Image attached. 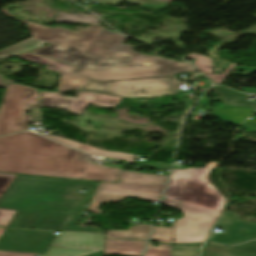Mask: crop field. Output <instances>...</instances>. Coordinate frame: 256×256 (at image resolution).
<instances>
[{"mask_svg": "<svg viewBox=\"0 0 256 256\" xmlns=\"http://www.w3.org/2000/svg\"><path fill=\"white\" fill-rule=\"evenodd\" d=\"M32 38L0 50V59L43 46L30 53L78 66L74 73L97 81L122 80L175 75L196 70L186 62L137 53L123 44L126 37L91 25L73 31L61 27L46 28L29 22ZM174 71L175 73H170Z\"/></svg>", "mask_w": 256, "mask_h": 256, "instance_id": "crop-field-1", "label": "crop field"}, {"mask_svg": "<svg viewBox=\"0 0 256 256\" xmlns=\"http://www.w3.org/2000/svg\"><path fill=\"white\" fill-rule=\"evenodd\" d=\"M84 153L30 132L0 138V172L115 182L121 169L93 164Z\"/></svg>", "mask_w": 256, "mask_h": 256, "instance_id": "crop-field-2", "label": "crop field"}, {"mask_svg": "<svg viewBox=\"0 0 256 256\" xmlns=\"http://www.w3.org/2000/svg\"><path fill=\"white\" fill-rule=\"evenodd\" d=\"M95 183L19 175L0 201L2 208L84 214ZM78 189L89 190L86 194Z\"/></svg>", "mask_w": 256, "mask_h": 256, "instance_id": "crop-field-3", "label": "crop field"}, {"mask_svg": "<svg viewBox=\"0 0 256 256\" xmlns=\"http://www.w3.org/2000/svg\"><path fill=\"white\" fill-rule=\"evenodd\" d=\"M211 170L186 169L179 205L184 217L177 220L173 243L204 242L214 220L222 212L226 197L208 180Z\"/></svg>", "mask_w": 256, "mask_h": 256, "instance_id": "crop-field-4", "label": "crop field"}, {"mask_svg": "<svg viewBox=\"0 0 256 256\" xmlns=\"http://www.w3.org/2000/svg\"><path fill=\"white\" fill-rule=\"evenodd\" d=\"M168 176L122 171L117 183L100 182L93 195L89 210L99 215L101 203H119L127 196L159 202Z\"/></svg>", "mask_w": 256, "mask_h": 256, "instance_id": "crop-field-5", "label": "crop field"}, {"mask_svg": "<svg viewBox=\"0 0 256 256\" xmlns=\"http://www.w3.org/2000/svg\"><path fill=\"white\" fill-rule=\"evenodd\" d=\"M177 86L178 81L175 76L109 82H97L90 79L78 90H92L127 98H152L162 95L177 94ZM143 91L146 92L143 93Z\"/></svg>", "mask_w": 256, "mask_h": 256, "instance_id": "crop-field-6", "label": "crop field"}, {"mask_svg": "<svg viewBox=\"0 0 256 256\" xmlns=\"http://www.w3.org/2000/svg\"><path fill=\"white\" fill-rule=\"evenodd\" d=\"M37 104L36 89L9 84L0 105V135L29 129L31 116L25 113L29 105Z\"/></svg>", "mask_w": 256, "mask_h": 256, "instance_id": "crop-field-7", "label": "crop field"}, {"mask_svg": "<svg viewBox=\"0 0 256 256\" xmlns=\"http://www.w3.org/2000/svg\"><path fill=\"white\" fill-rule=\"evenodd\" d=\"M40 93L41 107H61L76 114H82L89 104L115 108L121 100L92 92H77L76 97H64L60 93Z\"/></svg>", "mask_w": 256, "mask_h": 256, "instance_id": "crop-field-8", "label": "crop field"}, {"mask_svg": "<svg viewBox=\"0 0 256 256\" xmlns=\"http://www.w3.org/2000/svg\"><path fill=\"white\" fill-rule=\"evenodd\" d=\"M55 238L52 232L8 229L0 242V250L46 253Z\"/></svg>", "mask_w": 256, "mask_h": 256, "instance_id": "crop-field-9", "label": "crop field"}, {"mask_svg": "<svg viewBox=\"0 0 256 256\" xmlns=\"http://www.w3.org/2000/svg\"><path fill=\"white\" fill-rule=\"evenodd\" d=\"M216 227L224 228L225 232L211 234L208 242L233 245L256 238V223L241 219L231 212L225 213Z\"/></svg>", "mask_w": 256, "mask_h": 256, "instance_id": "crop-field-10", "label": "crop field"}, {"mask_svg": "<svg viewBox=\"0 0 256 256\" xmlns=\"http://www.w3.org/2000/svg\"><path fill=\"white\" fill-rule=\"evenodd\" d=\"M68 215L69 214L64 213L20 210V213L17 215L11 226L21 228L60 230L64 225Z\"/></svg>", "mask_w": 256, "mask_h": 256, "instance_id": "crop-field-11", "label": "crop field"}, {"mask_svg": "<svg viewBox=\"0 0 256 256\" xmlns=\"http://www.w3.org/2000/svg\"><path fill=\"white\" fill-rule=\"evenodd\" d=\"M32 62L48 65L45 69L61 73L60 88L59 91L76 90L81 87L89 79L74 74L75 66L60 63L54 60H50L38 55L27 53L22 56H18Z\"/></svg>", "mask_w": 256, "mask_h": 256, "instance_id": "crop-field-12", "label": "crop field"}, {"mask_svg": "<svg viewBox=\"0 0 256 256\" xmlns=\"http://www.w3.org/2000/svg\"><path fill=\"white\" fill-rule=\"evenodd\" d=\"M146 241L105 240L104 256H140Z\"/></svg>", "mask_w": 256, "mask_h": 256, "instance_id": "crop-field-13", "label": "crop field"}, {"mask_svg": "<svg viewBox=\"0 0 256 256\" xmlns=\"http://www.w3.org/2000/svg\"><path fill=\"white\" fill-rule=\"evenodd\" d=\"M186 58L197 59L193 64L199 68L207 77H209L213 82L222 84L226 76L234 68L236 64L231 63L229 67L224 71L222 75L213 74V67L215 66L214 61L211 57L192 53Z\"/></svg>", "mask_w": 256, "mask_h": 256, "instance_id": "crop-field-14", "label": "crop field"}, {"mask_svg": "<svg viewBox=\"0 0 256 256\" xmlns=\"http://www.w3.org/2000/svg\"><path fill=\"white\" fill-rule=\"evenodd\" d=\"M185 169H174L167 186L163 204L178 209Z\"/></svg>", "mask_w": 256, "mask_h": 256, "instance_id": "crop-field-15", "label": "crop field"}, {"mask_svg": "<svg viewBox=\"0 0 256 256\" xmlns=\"http://www.w3.org/2000/svg\"><path fill=\"white\" fill-rule=\"evenodd\" d=\"M42 135H44L48 138H51L53 140L59 141L65 145L77 148V149L82 150L87 153H90L92 155L106 156V157H112V158H117V159H125V160H127V163H132L134 161L135 155H133V154L112 152V151H102V150H99V149H96V148H93V147H90L87 145L79 144L75 141L49 136L47 134H42Z\"/></svg>", "mask_w": 256, "mask_h": 256, "instance_id": "crop-field-16", "label": "crop field"}, {"mask_svg": "<svg viewBox=\"0 0 256 256\" xmlns=\"http://www.w3.org/2000/svg\"><path fill=\"white\" fill-rule=\"evenodd\" d=\"M252 113L253 112L246 109L225 106H221L213 112L214 116H216L218 119L236 126H238L246 117Z\"/></svg>", "mask_w": 256, "mask_h": 256, "instance_id": "crop-field-17", "label": "crop field"}, {"mask_svg": "<svg viewBox=\"0 0 256 256\" xmlns=\"http://www.w3.org/2000/svg\"><path fill=\"white\" fill-rule=\"evenodd\" d=\"M212 90L222 97V99L224 100V104L226 105L243 106L248 107L253 111L256 110V103L247 100L245 95L243 94H239L234 91L220 87L212 88Z\"/></svg>", "mask_w": 256, "mask_h": 256, "instance_id": "crop-field-18", "label": "crop field"}, {"mask_svg": "<svg viewBox=\"0 0 256 256\" xmlns=\"http://www.w3.org/2000/svg\"><path fill=\"white\" fill-rule=\"evenodd\" d=\"M150 225H139L135 227H129L125 230H110L105 231V238L113 239H146L148 236Z\"/></svg>", "mask_w": 256, "mask_h": 256, "instance_id": "crop-field-19", "label": "crop field"}, {"mask_svg": "<svg viewBox=\"0 0 256 256\" xmlns=\"http://www.w3.org/2000/svg\"><path fill=\"white\" fill-rule=\"evenodd\" d=\"M55 21L95 25L100 24V21L94 15L68 14L62 12L57 13Z\"/></svg>", "mask_w": 256, "mask_h": 256, "instance_id": "crop-field-20", "label": "crop field"}, {"mask_svg": "<svg viewBox=\"0 0 256 256\" xmlns=\"http://www.w3.org/2000/svg\"><path fill=\"white\" fill-rule=\"evenodd\" d=\"M202 256H255L234 248L205 245Z\"/></svg>", "mask_w": 256, "mask_h": 256, "instance_id": "crop-field-21", "label": "crop field"}, {"mask_svg": "<svg viewBox=\"0 0 256 256\" xmlns=\"http://www.w3.org/2000/svg\"><path fill=\"white\" fill-rule=\"evenodd\" d=\"M175 226L176 220H174L172 228L155 226L150 240L172 243Z\"/></svg>", "mask_w": 256, "mask_h": 256, "instance_id": "crop-field-22", "label": "crop field"}, {"mask_svg": "<svg viewBox=\"0 0 256 256\" xmlns=\"http://www.w3.org/2000/svg\"><path fill=\"white\" fill-rule=\"evenodd\" d=\"M201 245H173L171 256H198Z\"/></svg>", "mask_w": 256, "mask_h": 256, "instance_id": "crop-field-23", "label": "crop field"}, {"mask_svg": "<svg viewBox=\"0 0 256 256\" xmlns=\"http://www.w3.org/2000/svg\"><path fill=\"white\" fill-rule=\"evenodd\" d=\"M95 252H98V251L52 248V250L49 252L47 256H84V255L95 253Z\"/></svg>", "mask_w": 256, "mask_h": 256, "instance_id": "crop-field-24", "label": "crop field"}, {"mask_svg": "<svg viewBox=\"0 0 256 256\" xmlns=\"http://www.w3.org/2000/svg\"><path fill=\"white\" fill-rule=\"evenodd\" d=\"M151 241L148 242L144 256H170L172 245L160 244L158 248L151 246Z\"/></svg>", "mask_w": 256, "mask_h": 256, "instance_id": "crop-field-25", "label": "crop field"}, {"mask_svg": "<svg viewBox=\"0 0 256 256\" xmlns=\"http://www.w3.org/2000/svg\"><path fill=\"white\" fill-rule=\"evenodd\" d=\"M81 216H72L70 217L66 227L64 230H76V231H95V232H102L99 228L97 227H89V228H78L76 225L79 221Z\"/></svg>", "mask_w": 256, "mask_h": 256, "instance_id": "crop-field-26", "label": "crop field"}, {"mask_svg": "<svg viewBox=\"0 0 256 256\" xmlns=\"http://www.w3.org/2000/svg\"><path fill=\"white\" fill-rule=\"evenodd\" d=\"M136 1L145 2L141 7L152 9V10L166 9L170 5V3L168 2H160L155 0H136Z\"/></svg>", "mask_w": 256, "mask_h": 256, "instance_id": "crop-field-27", "label": "crop field"}, {"mask_svg": "<svg viewBox=\"0 0 256 256\" xmlns=\"http://www.w3.org/2000/svg\"><path fill=\"white\" fill-rule=\"evenodd\" d=\"M15 176L16 175L0 173V197L7 189V187L10 185Z\"/></svg>", "mask_w": 256, "mask_h": 256, "instance_id": "crop-field-28", "label": "crop field"}, {"mask_svg": "<svg viewBox=\"0 0 256 256\" xmlns=\"http://www.w3.org/2000/svg\"><path fill=\"white\" fill-rule=\"evenodd\" d=\"M16 211L0 209V226H8Z\"/></svg>", "mask_w": 256, "mask_h": 256, "instance_id": "crop-field-29", "label": "crop field"}, {"mask_svg": "<svg viewBox=\"0 0 256 256\" xmlns=\"http://www.w3.org/2000/svg\"><path fill=\"white\" fill-rule=\"evenodd\" d=\"M242 128L248 132H256V118L252 117L243 123Z\"/></svg>", "mask_w": 256, "mask_h": 256, "instance_id": "crop-field-30", "label": "crop field"}, {"mask_svg": "<svg viewBox=\"0 0 256 256\" xmlns=\"http://www.w3.org/2000/svg\"><path fill=\"white\" fill-rule=\"evenodd\" d=\"M136 166L142 167H153V168H159V169H165V170H171L172 165L167 164H155V163H143V162H137Z\"/></svg>", "mask_w": 256, "mask_h": 256, "instance_id": "crop-field-31", "label": "crop field"}, {"mask_svg": "<svg viewBox=\"0 0 256 256\" xmlns=\"http://www.w3.org/2000/svg\"><path fill=\"white\" fill-rule=\"evenodd\" d=\"M236 248H240V249H243V250H246L248 252L256 254V241H251L249 243L236 246Z\"/></svg>", "mask_w": 256, "mask_h": 256, "instance_id": "crop-field-32", "label": "crop field"}, {"mask_svg": "<svg viewBox=\"0 0 256 256\" xmlns=\"http://www.w3.org/2000/svg\"><path fill=\"white\" fill-rule=\"evenodd\" d=\"M0 256H34V254L0 251Z\"/></svg>", "mask_w": 256, "mask_h": 256, "instance_id": "crop-field-33", "label": "crop field"}, {"mask_svg": "<svg viewBox=\"0 0 256 256\" xmlns=\"http://www.w3.org/2000/svg\"><path fill=\"white\" fill-rule=\"evenodd\" d=\"M97 1H102V2L111 3V4H115V3H118V2H121V1H127L129 3L139 4V5L143 4L141 2H135V1H130V0H97Z\"/></svg>", "mask_w": 256, "mask_h": 256, "instance_id": "crop-field-34", "label": "crop field"}, {"mask_svg": "<svg viewBox=\"0 0 256 256\" xmlns=\"http://www.w3.org/2000/svg\"><path fill=\"white\" fill-rule=\"evenodd\" d=\"M234 69H237V70H247V71H256V69H254V68L239 67V66H235Z\"/></svg>", "mask_w": 256, "mask_h": 256, "instance_id": "crop-field-35", "label": "crop field"}, {"mask_svg": "<svg viewBox=\"0 0 256 256\" xmlns=\"http://www.w3.org/2000/svg\"><path fill=\"white\" fill-rule=\"evenodd\" d=\"M219 163L217 162H211L210 164H208L206 167H210V168H215L216 166H218Z\"/></svg>", "mask_w": 256, "mask_h": 256, "instance_id": "crop-field-36", "label": "crop field"}, {"mask_svg": "<svg viewBox=\"0 0 256 256\" xmlns=\"http://www.w3.org/2000/svg\"><path fill=\"white\" fill-rule=\"evenodd\" d=\"M4 228H0V236L2 235V233L4 232Z\"/></svg>", "mask_w": 256, "mask_h": 256, "instance_id": "crop-field-37", "label": "crop field"}, {"mask_svg": "<svg viewBox=\"0 0 256 256\" xmlns=\"http://www.w3.org/2000/svg\"><path fill=\"white\" fill-rule=\"evenodd\" d=\"M72 1L76 2V1H78V0H72Z\"/></svg>", "mask_w": 256, "mask_h": 256, "instance_id": "crop-field-38", "label": "crop field"}]
</instances>
